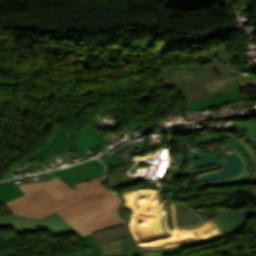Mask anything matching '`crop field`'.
<instances>
[{
	"label": "crop field",
	"mask_w": 256,
	"mask_h": 256,
	"mask_svg": "<svg viewBox=\"0 0 256 256\" xmlns=\"http://www.w3.org/2000/svg\"><path fill=\"white\" fill-rule=\"evenodd\" d=\"M72 190L55 178L19 186L26 194L6 202L13 213L38 219L56 211L81 235L123 223L117 215L120 201L101 186V178L76 184Z\"/></svg>",
	"instance_id": "8a807250"
},
{
	"label": "crop field",
	"mask_w": 256,
	"mask_h": 256,
	"mask_svg": "<svg viewBox=\"0 0 256 256\" xmlns=\"http://www.w3.org/2000/svg\"><path fill=\"white\" fill-rule=\"evenodd\" d=\"M0 229H13L16 234L50 231L55 236L71 232L81 236L56 212L39 220L14 214L6 215L0 218Z\"/></svg>",
	"instance_id": "ac0d7876"
},
{
	"label": "crop field",
	"mask_w": 256,
	"mask_h": 256,
	"mask_svg": "<svg viewBox=\"0 0 256 256\" xmlns=\"http://www.w3.org/2000/svg\"><path fill=\"white\" fill-rule=\"evenodd\" d=\"M187 102V110L212 108L227 102L245 99L240 90L210 97L205 85L181 91Z\"/></svg>",
	"instance_id": "34b2d1b8"
},
{
	"label": "crop field",
	"mask_w": 256,
	"mask_h": 256,
	"mask_svg": "<svg viewBox=\"0 0 256 256\" xmlns=\"http://www.w3.org/2000/svg\"><path fill=\"white\" fill-rule=\"evenodd\" d=\"M104 170L105 167L97 159H93L52 173L74 189L76 183L102 177Z\"/></svg>",
	"instance_id": "412701ff"
},
{
	"label": "crop field",
	"mask_w": 256,
	"mask_h": 256,
	"mask_svg": "<svg viewBox=\"0 0 256 256\" xmlns=\"http://www.w3.org/2000/svg\"><path fill=\"white\" fill-rule=\"evenodd\" d=\"M73 147L85 159H88V157L78 148L75 142L60 128V126H56L54 129V134L51 136L50 140L33 155L26 158L21 164H24L32 159L38 162L55 153L60 155Z\"/></svg>",
	"instance_id": "f4fd0767"
},
{
	"label": "crop field",
	"mask_w": 256,
	"mask_h": 256,
	"mask_svg": "<svg viewBox=\"0 0 256 256\" xmlns=\"http://www.w3.org/2000/svg\"><path fill=\"white\" fill-rule=\"evenodd\" d=\"M70 134H73L76 137L75 142L83 152H86L89 149L95 148L109 141L105 139L102 134L98 133L93 128V124H90L89 126L81 129L76 133H70Z\"/></svg>",
	"instance_id": "dd49c442"
},
{
	"label": "crop field",
	"mask_w": 256,
	"mask_h": 256,
	"mask_svg": "<svg viewBox=\"0 0 256 256\" xmlns=\"http://www.w3.org/2000/svg\"><path fill=\"white\" fill-rule=\"evenodd\" d=\"M224 144L226 146H231L233 147L239 154L240 156L244 159L245 161V168L242 172V174L235 178V179H229V180H222V181H215V182H207V183H200L203 186H210V185H219V184H227V183H235V182H241L244 181L245 179H247L249 176L252 175V173L255 171V166L253 165V163L250 161V159L247 157V155L240 149V147L230 141V140H226V139H221Z\"/></svg>",
	"instance_id": "e52e79f7"
},
{
	"label": "crop field",
	"mask_w": 256,
	"mask_h": 256,
	"mask_svg": "<svg viewBox=\"0 0 256 256\" xmlns=\"http://www.w3.org/2000/svg\"><path fill=\"white\" fill-rule=\"evenodd\" d=\"M88 247L91 249L89 253H76V254H68V255H59V256H147V252H131V253H121V254H109L102 255L98 246L94 243V241L90 238L89 234L85 236H81Z\"/></svg>",
	"instance_id": "d8731c3e"
},
{
	"label": "crop field",
	"mask_w": 256,
	"mask_h": 256,
	"mask_svg": "<svg viewBox=\"0 0 256 256\" xmlns=\"http://www.w3.org/2000/svg\"><path fill=\"white\" fill-rule=\"evenodd\" d=\"M22 195H24V193L12 180L0 182V203L16 199Z\"/></svg>",
	"instance_id": "5a996713"
},
{
	"label": "crop field",
	"mask_w": 256,
	"mask_h": 256,
	"mask_svg": "<svg viewBox=\"0 0 256 256\" xmlns=\"http://www.w3.org/2000/svg\"><path fill=\"white\" fill-rule=\"evenodd\" d=\"M107 167L109 166H116V165H120L122 163H125V160L121 157V155H117L114 157H111L109 159H106L104 161H102Z\"/></svg>",
	"instance_id": "3316defc"
},
{
	"label": "crop field",
	"mask_w": 256,
	"mask_h": 256,
	"mask_svg": "<svg viewBox=\"0 0 256 256\" xmlns=\"http://www.w3.org/2000/svg\"><path fill=\"white\" fill-rule=\"evenodd\" d=\"M121 155L126 160V162L128 163V158H129L130 154L126 151V152L122 153Z\"/></svg>",
	"instance_id": "28ad6ade"
}]
</instances>
